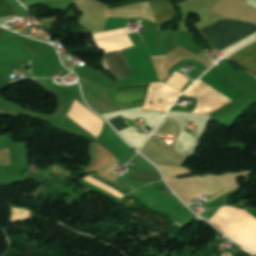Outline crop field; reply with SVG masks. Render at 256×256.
Instances as JSON below:
<instances>
[{
    "label": "crop field",
    "mask_w": 256,
    "mask_h": 256,
    "mask_svg": "<svg viewBox=\"0 0 256 256\" xmlns=\"http://www.w3.org/2000/svg\"><path fill=\"white\" fill-rule=\"evenodd\" d=\"M234 256H252V254L242 250V249H239Z\"/></svg>",
    "instance_id": "obj_11"
},
{
    "label": "crop field",
    "mask_w": 256,
    "mask_h": 256,
    "mask_svg": "<svg viewBox=\"0 0 256 256\" xmlns=\"http://www.w3.org/2000/svg\"><path fill=\"white\" fill-rule=\"evenodd\" d=\"M150 83L127 84L118 86L112 100L117 103H145V96Z\"/></svg>",
    "instance_id": "obj_3"
},
{
    "label": "crop field",
    "mask_w": 256,
    "mask_h": 256,
    "mask_svg": "<svg viewBox=\"0 0 256 256\" xmlns=\"http://www.w3.org/2000/svg\"><path fill=\"white\" fill-rule=\"evenodd\" d=\"M2 31H3V29L0 28V38H1V36H2Z\"/></svg>",
    "instance_id": "obj_13"
},
{
    "label": "crop field",
    "mask_w": 256,
    "mask_h": 256,
    "mask_svg": "<svg viewBox=\"0 0 256 256\" xmlns=\"http://www.w3.org/2000/svg\"><path fill=\"white\" fill-rule=\"evenodd\" d=\"M109 122L116 128L117 131L129 127V125L125 122V120L121 116L115 119L109 120Z\"/></svg>",
    "instance_id": "obj_9"
},
{
    "label": "crop field",
    "mask_w": 256,
    "mask_h": 256,
    "mask_svg": "<svg viewBox=\"0 0 256 256\" xmlns=\"http://www.w3.org/2000/svg\"><path fill=\"white\" fill-rule=\"evenodd\" d=\"M212 46L222 51L256 32V25L239 21L220 20L200 29Z\"/></svg>",
    "instance_id": "obj_1"
},
{
    "label": "crop field",
    "mask_w": 256,
    "mask_h": 256,
    "mask_svg": "<svg viewBox=\"0 0 256 256\" xmlns=\"http://www.w3.org/2000/svg\"><path fill=\"white\" fill-rule=\"evenodd\" d=\"M92 177L96 178L97 180L109 185L110 187L122 192L123 194L127 195L129 193H131L132 191H134L135 189L131 188L130 186L126 185L125 183H123L122 181L120 180H116L114 183L106 180V179H103L97 175H91Z\"/></svg>",
    "instance_id": "obj_7"
},
{
    "label": "crop field",
    "mask_w": 256,
    "mask_h": 256,
    "mask_svg": "<svg viewBox=\"0 0 256 256\" xmlns=\"http://www.w3.org/2000/svg\"><path fill=\"white\" fill-rule=\"evenodd\" d=\"M9 84V82L0 75V88Z\"/></svg>",
    "instance_id": "obj_12"
},
{
    "label": "crop field",
    "mask_w": 256,
    "mask_h": 256,
    "mask_svg": "<svg viewBox=\"0 0 256 256\" xmlns=\"http://www.w3.org/2000/svg\"><path fill=\"white\" fill-rule=\"evenodd\" d=\"M103 69L107 70L116 80L134 76L128 65L126 50L105 53L103 56Z\"/></svg>",
    "instance_id": "obj_2"
},
{
    "label": "crop field",
    "mask_w": 256,
    "mask_h": 256,
    "mask_svg": "<svg viewBox=\"0 0 256 256\" xmlns=\"http://www.w3.org/2000/svg\"><path fill=\"white\" fill-rule=\"evenodd\" d=\"M15 14L6 0H0V17L14 16Z\"/></svg>",
    "instance_id": "obj_8"
},
{
    "label": "crop field",
    "mask_w": 256,
    "mask_h": 256,
    "mask_svg": "<svg viewBox=\"0 0 256 256\" xmlns=\"http://www.w3.org/2000/svg\"><path fill=\"white\" fill-rule=\"evenodd\" d=\"M162 180L159 172L137 170L132 174L130 181L153 183Z\"/></svg>",
    "instance_id": "obj_6"
},
{
    "label": "crop field",
    "mask_w": 256,
    "mask_h": 256,
    "mask_svg": "<svg viewBox=\"0 0 256 256\" xmlns=\"http://www.w3.org/2000/svg\"><path fill=\"white\" fill-rule=\"evenodd\" d=\"M23 209L18 208L17 214H22ZM23 214H31L30 211L24 209ZM32 217V215H16V220Z\"/></svg>",
    "instance_id": "obj_10"
},
{
    "label": "crop field",
    "mask_w": 256,
    "mask_h": 256,
    "mask_svg": "<svg viewBox=\"0 0 256 256\" xmlns=\"http://www.w3.org/2000/svg\"><path fill=\"white\" fill-rule=\"evenodd\" d=\"M254 256H256V254H254Z\"/></svg>",
    "instance_id": "obj_14"
},
{
    "label": "crop field",
    "mask_w": 256,
    "mask_h": 256,
    "mask_svg": "<svg viewBox=\"0 0 256 256\" xmlns=\"http://www.w3.org/2000/svg\"><path fill=\"white\" fill-rule=\"evenodd\" d=\"M246 71L256 75V42L228 57Z\"/></svg>",
    "instance_id": "obj_4"
},
{
    "label": "crop field",
    "mask_w": 256,
    "mask_h": 256,
    "mask_svg": "<svg viewBox=\"0 0 256 256\" xmlns=\"http://www.w3.org/2000/svg\"><path fill=\"white\" fill-rule=\"evenodd\" d=\"M149 4L158 23H165L173 19V10L166 2L156 1L149 2Z\"/></svg>",
    "instance_id": "obj_5"
}]
</instances>
